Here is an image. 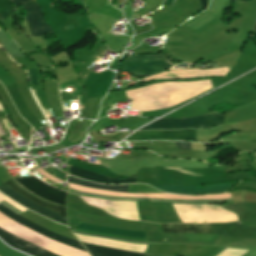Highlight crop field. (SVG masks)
Here are the masks:
<instances>
[{"label":"crop field","instance_id":"crop-field-24","mask_svg":"<svg viewBox=\"0 0 256 256\" xmlns=\"http://www.w3.org/2000/svg\"><path fill=\"white\" fill-rule=\"evenodd\" d=\"M1 202V201H0Z\"/></svg>","mask_w":256,"mask_h":256},{"label":"crop field","instance_id":"crop-field-22","mask_svg":"<svg viewBox=\"0 0 256 256\" xmlns=\"http://www.w3.org/2000/svg\"><path fill=\"white\" fill-rule=\"evenodd\" d=\"M254 31H256V26H255V30Z\"/></svg>","mask_w":256,"mask_h":256},{"label":"crop field","instance_id":"crop-field-13","mask_svg":"<svg viewBox=\"0 0 256 256\" xmlns=\"http://www.w3.org/2000/svg\"><path fill=\"white\" fill-rule=\"evenodd\" d=\"M68 182L74 183L78 185L88 186L92 188H98V189H104V190H110V191H120V192H126V185H100L96 183H90L86 182L71 176H68Z\"/></svg>","mask_w":256,"mask_h":256},{"label":"crop field","instance_id":"crop-field-2","mask_svg":"<svg viewBox=\"0 0 256 256\" xmlns=\"http://www.w3.org/2000/svg\"><path fill=\"white\" fill-rule=\"evenodd\" d=\"M223 115L211 112L196 118H169L159 119L140 130L148 129H183V128H209L223 124Z\"/></svg>","mask_w":256,"mask_h":256},{"label":"crop field","instance_id":"crop-field-20","mask_svg":"<svg viewBox=\"0 0 256 256\" xmlns=\"http://www.w3.org/2000/svg\"><path fill=\"white\" fill-rule=\"evenodd\" d=\"M72 232H75V231H72ZM75 233H77V232H75ZM80 234H82V233H80ZM85 235H89V234H85ZM90 236H95V235H90ZM95 237H101V236H95ZM101 238H106V237H101ZM107 239H111V238H107ZM114 240H116V239H114ZM120 241H122V240H120ZM127 242H129V241H127ZM134 243H140V242H134ZM140 244H146V243H140Z\"/></svg>","mask_w":256,"mask_h":256},{"label":"crop field","instance_id":"crop-field-8","mask_svg":"<svg viewBox=\"0 0 256 256\" xmlns=\"http://www.w3.org/2000/svg\"><path fill=\"white\" fill-rule=\"evenodd\" d=\"M11 190L15 191L16 193H18L19 195H21L22 197H24L25 199L45 208L48 209L52 212H55L63 217L66 218V208L56 205V204H52L49 202H46L44 200H41L39 198H37L36 196H34L33 194H31L30 192L26 191L23 187H21L16 181H14L12 178L10 180H8L5 183Z\"/></svg>","mask_w":256,"mask_h":256},{"label":"crop field","instance_id":"crop-field-19","mask_svg":"<svg viewBox=\"0 0 256 256\" xmlns=\"http://www.w3.org/2000/svg\"><path fill=\"white\" fill-rule=\"evenodd\" d=\"M1 203H3L5 206H7L9 209H11L12 211L18 213L19 215L22 214V212H20L18 209H16L15 207H13L11 204H9L7 201H2Z\"/></svg>","mask_w":256,"mask_h":256},{"label":"crop field","instance_id":"crop-field-16","mask_svg":"<svg viewBox=\"0 0 256 256\" xmlns=\"http://www.w3.org/2000/svg\"><path fill=\"white\" fill-rule=\"evenodd\" d=\"M30 84H39L37 81V69H28Z\"/></svg>","mask_w":256,"mask_h":256},{"label":"crop field","instance_id":"crop-field-15","mask_svg":"<svg viewBox=\"0 0 256 256\" xmlns=\"http://www.w3.org/2000/svg\"><path fill=\"white\" fill-rule=\"evenodd\" d=\"M13 6L11 0H0V19L1 21L13 16Z\"/></svg>","mask_w":256,"mask_h":256},{"label":"crop field","instance_id":"crop-field-7","mask_svg":"<svg viewBox=\"0 0 256 256\" xmlns=\"http://www.w3.org/2000/svg\"><path fill=\"white\" fill-rule=\"evenodd\" d=\"M237 182H229L223 184L208 185L206 188H199L197 186H184V185H161V184H150L162 191L171 192L175 194L184 195H197L202 193H219L228 191Z\"/></svg>","mask_w":256,"mask_h":256},{"label":"crop field","instance_id":"crop-field-12","mask_svg":"<svg viewBox=\"0 0 256 256\" xmlns=\"http://www.w3.org/2000/svg\"><path fill=\"white\" fill-rule=\"evenodd\" d=\"M77 227L92 230V231H97V232H103V233H111V234H119V235L145 238L144 232L120 230V229L105 228V227H97V226H91V225H87V224H83V223H81Z\"/></svg>","mask_w":256,"mask_h":256},{"label":"crop field","instance_id":"crop-field-3","mask_svg":"<svg viewBox=\"0 0 256 256\" xmlns=\"http://www.w3.org/2000/svg\"><path fill=\"white\" fill-rule=\"evenodd\" d=\"M172 66L162 55L132 56L125 60L121 70L146 76L164 72Z\"/></svg>","mask_w":256,"mask_h":256},{"label":"crop field","instance_id":"crop-field-11","mask_svg":"<svg viewBox=\"0 0 256 256\" xmlns=\"http://www.w3.org/2000/svg\"><path fill=\"white\" fill-rule=\"evenodd\" d=\"M163 231L167 233H209L211 224L188 225V224H161Z\"/></svg>","mask_w":256,"mask_h":256},{"label":"crop field","instance_id":"crop-field-10","mask_svg":"<svg viewBox=\"0 0 256 256\" xmlns=\"http://www.w3.org/2000/svg\"><path fill=\"white\" fill-rule=\"evenodd\" d=\"M70 172V175L81 177L84 179L96 181L99 183H129V182H136V177H129V178H108L106 176H102L99 174H95L92 172L84 171L77 169L75 167H71V169L68 171Z\"/></svg>","mask_w":256,"mask_h":256},{"label":"crop field","instance_id":"crop-field-1","mask_svg":"<svg viewBox=\"0 0 256 256\" xmlns=\"http://www.w3.org/2000/svg\"><path fill=\"white\" fill-rule=\"evenodd\" d=\"M0 211L4 214L10 216L11 218L15 219L19 223L33 229L34 231L52 239V240L69 245L74 248H79V249L84 250V248L81 246V244L79 242L71 240V239L63 237V236L56 235L52 232H49V231L35 225L34 223L26 220L25 218L17 215L16 213L12 212L11 210H9L7 207H5L1 203H0ZM0 238L2 240H4L6 243H8L9 245H11L29 255H32V256H58V255L53 254L49 251H46L32 243H29L2 228H0Z\"/></svg>","mask_w":256,"mask_h":256},{"label":"crop field","instance_id":"crop-field-9","mask_svg":"<svg viewBox=\"0 0 256 256\" xmlns=\"http://www.w3.org/2000/svg\"><path fill=\"white\" fill-rule=\"evenodd\" d=\"M0 191L2 193H4L5 195H7L8 197H10L11 199H13L14 201H16L17 203H19L20 205H22V206H24L28 209H31V210H33V211H35V212H37V213H39V214H41L45 217L57 222V223L67 225V219L28 202L27 200H25L24 198H22L18 194L11 191L4 184L0 185Z\"/></svg>","mask_w":256,"mask_h":256},{"label":"crop field","instance_id":"crop-field-18","mask_svg":"<svg viewBox=\"0 0 256 256\" xmlns=\"http://www.w3.org/2000/svg\"><path fill=\"white\" fill-rule=\"evenodd\" d=\"M174 2H175V0H165L163 5L173 6ZM201 5H202L203 10H204L205 7L207 6L206 0H201Z\"/></svg>","mask_w":256,"mask_h":256},{"label":"crop field","instance_id":"crop-field-5","mask_svg":"<svg viewBox=\"0 0 256 256\" xmlns=\"http://www.w3.org/2000/svg\"><path fill=\"white\" fill-rule=\"evenodd\" d=\"M33 0H12L14 6L22 5L27 12L26 18L32 36L43 37L46 33H53L49 24L43 19L38 3Z\"/></svg>","mask_w":256,"mask_h":256},{"label":"crop field","instance_id":"crop-field-21","mask_svg":"<svg viewBox=\"0 0 256 256\" xmlns=\"http://www.w3.org/2000/svg\"><path fill=\"white\" fill-rule=\"evenodd\" d=\"M207 1H208V4H209L210 0H207Z\"/></svg>","mask_w":256,"mask_h":256},{"label":"crop field","instance_id":"crop-field-23","mask_svg":"<svg viewBox=\"0 0 256 256\" xmlns=\"http://www.w3.org/2000/svg\"><path fill=\"white\" fill-rule=\"evenodd\" d=\"M1 182V181H0ZM2 183V182H1ZM3 184V183H2Z\"/></svg>","mask_w":256,"mask_h":256},{"label":"crop field","instance_id":"crop-field-14","mask_svg":"<svg viewBox=\"0 0 256 256\" xmlns=\"http://www.w3.org/2000/svg\"><path fill=\"white\" fill-rule=\"evenodd\" d=\"M0 40L11 57L26 58L20 48L9 38L5 31L0 32Z\"/></svg>","mask_w":256,"mask_h":256},{"label":"crop field","instance_id":"crop-field-4","mask_svg":"<svg viewBox=\"0 0 256 256\" xmlns=\"http://www.w3.org/2000/svg\"><path fill=\"white\" fill-rule=\"evenodd\" d=\"M14 179L34 194L53 203L66 206V192L53 188L35 177H18Z\"/></svg>","mask_w":256,"mask_h":256},{"label":"crop field","instance_id":"crop-field-6","mask_svg":"<svg viewBox=\"0 0 256 256\" xmlns=\"http://www.w3.org/2000/svg\"><path fill=\"white\" fill-rule=\"evenodd\" d=\"M126 140H196V130L138 131Z\"/></svg>","mask_w":256,"mask_h":256},{"label":"crop field","instance_id":"crop-field-17","mask_svg":"<svg viewBox=\"0 0 256 256\" xmlns=\"http://www.w3.org/2000/svg\"><path fill=\"white\" fill-rule=\"evenodd\" d=\"M178 149H188L191 150L190 142H175Z\"/></svg>","mask_w":256,"mask_h":256}]
</instances>
